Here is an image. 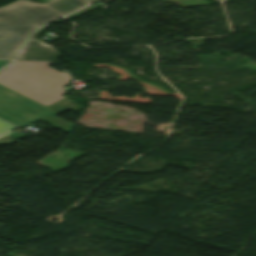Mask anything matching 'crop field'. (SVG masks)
<instances>
[{"instance_id":"1","label":"crop field","mask_w":256,"mask_h":256,"mask_svg":"<svg viewBox=\"0 0 256 256\" xmlns=\"http://www.w3.org/2000/svg\"><path fill=\"white\" fill-rule=\"evenodd\" d=\"M63 15L85 5V0H51L46 3ZM61 14L42 3L18 0L0 8V59H13L24 39L38 26Z\"/></svg>"},{"instance_id":"2","label":"crop field","mask_w":256,"mask_h":256,"mask_svg":"<svg viewBox=\"0 0 256 256\" xmlns=\"http://www.w3.org/2000/svg\"><path fill=\"white\" fill-rule=\"evenodd\" d=\"M48 62L16 61L0 71V85L41 105L49 106L63 98L64 85L71 82Z\"/></svg>"},{"instance_id":"3","label":"crop field","mask_w":256,"mask_h":256,"mask_svg":"<svg viewBox=\"0 0 256 256\" xmlns=\"http://www.w3.org/2000/svg\"><path fill=\"white\" fill-rule=\"evenodd\" d=\"M43 106L0 86V118L19 127L41 119L67 133L70 132L73 124L54 116L59 113Z\"/></svg>"},{"instance_id":"4","label":"crop field","mask_w":256,"mask_h":256,"mask_svg":"<svg viewBox=\"0 0 256 256\" xmlns=\"http://www.w3.org/2000/svg\"><path fill=\"white\" fill-rule=\"evenodd\" d=\"M59 55L54 48L41 46L37 40L28 39L17 59L57 61Z\"/></svg>"},{"instance_id":"5","label":"crop field","mask_w":256,"mask_h":256,"mask_svg":"<svg viewBox=\"0 0 256 256\" xmlns=\"http://www.w3.org/2000/svg\"><path fill=\"white\" fill-rule=\"evenodd\" d=\"M14 128V126L9 125L0 120V145L2 144H11L15 141L9 139L10 132Z\"/></svg>"},{"instance_id":"6","label":"crop field","mask_w":256,"mask_h":256,"mask_svg":"<svg viewBox=\"0 0 256 256\" xmlns=\"http://www.w3.org/2000/svg\"><path fill=\"white\" fill-rule=\"evenodd\" d=\"M8 62H10V61H0V68H1L2 66H4L5 64H7Z\"/></svg>"},{"instance_id":"7","label":"crop field","mask_w":256,"mask_h":256,"mask_svg":"<svg viewBox=\"0 0 256 256\" xmlns=\"http://www.w3.org/2000/svg\"><path fill=\"white\" fill-rule=\"evenodd\" d=\"M89 1L93 2V1H96V0H89Z\"/></svg>"}]
</instances>
